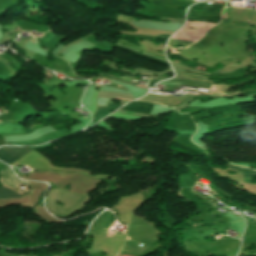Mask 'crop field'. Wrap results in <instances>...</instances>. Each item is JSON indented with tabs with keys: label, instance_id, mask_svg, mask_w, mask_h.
I'll return each mask as SVG.
<instances>
[{
	"label": "crop field",
	"instance_id": "crop-field-9",
	"mask_svg": "<svg viewBox=\"0 0 256 256\" xmlns=\"http://www.w3.org/2000/svg\"><path fill=\"white\" fill-rule=\"evenodd\" d=\"M101 78H103V77H101ZM103 79H105V78H103ZM107 80V79H106ZM109 81V80H108Z\"/></svg>",
	"mask_w": 256,
	"mask_h": 256
},
{
	"label": "crop field",
	"instance_id": "crop-field-1",
	"mask_svg": "<svg viewBox=\"0 0 256 256\" xmlns=\"http://www.w3.org/2000/svg\"><path fill=\"white\" fill-rule=\"evenodd\" d=\"M1 148L7 150L8 152L12 153L13 155L19 158L23 157L26 153L33 151L29 149L16 148V147H1ZM1 148H0V160L10 164L18 159Z\"/></svg>",
	"mask_w": 256,
	"mask_h": 256
},
{
	"label": "crop field",
	"instance_id": "crop-field-5",
	"mask_svg": "<svg viewBox=\"0 0 256 256\" xmlns=\"http://www.w3.org/2000/svg\"><path fill=\"white\" fill-rule=\"evenodd\" d=\"M3 179H5L6 182H3ZM0 182L13 188H16V186L19 184V182L12 176L10 171H6L0 175Z\"/></svg>",
	"mask_w": 256,
	"mask_h": 256
},
{
	"label": "crop field",
	"instance_id": "crop-field-2",
	"mask_svg": "<svg viewBox=\"0 0 256 256\" xmlns=\"http://www.w3.org/2000/svg\"><path fill=\"white\" fill-rule=\"evenodd\" d=\"M122 109L141 114H150L151 110L153 109V105L143 103H132Z\"/></svg>",
	"mask_w": 256,
	"mask_h": 256
},
{
	"label": "crop field",
	"instance_id": "crop-field-12",
	"mask_svg": "<svg viewBox=\"0 0 256 256\" xmlns=\"http://www.w3.org/2000/svg\"><path fill=\"white\" fill-rule=\"evenodd\" d=\"M128 228V227H127Z\"/></svg>",
	"mask_w": 256,
	"mask_h": 256
},
{
	"label": "crop field",
	"instance_id": "crop-field-3",
	"mask_svg": "<svg viewBox=\"0 0 256 256\" xmlns=\"http://www.w3.org/2000/svg\"><path fill=\"white\" fill-rule=\"evenodd\" d=\"M120 106H117L115 104L109 103L107 104V107H98L97 112L95 114V116L92 118L93 123L99 121L100 119H102L103 117H105L110 111L118 108Z\"/></svg>",
	"mask_w": 256,
	"mask_h": 256
},
{
	"label": "crop field",
	"instance_id": "crop-field-4",
	"mask_svg": "<svg viewBox=\"0 0 256 256\" xmlns=\"http://www.w3.org/2000/svg\"><path fill=\"white\" fill-rule=\"evenodd\" d=\"M227 167L231 168V169H234L236 170L237 172H239L240 174H242L244 176V180H245V183H251V176L254 175L256 176V171L255 170H252V169H248V168H244V167H237V166H230V165H227Z\"/></svg>",
	"mask_w": 256,
	"mask_h": 256
},
{
	"label": "crop field",
	"instance_id": "crop-field-8",
	"mask_svg": "<svg viewBox=\"0 0 256 256\" xmlns=\"http://www.w3.org/2000/svg\"><path fill=\"white\" fill-rule=\"evenodd\" d=\"M1 145H6L5 142H4L3 137H2V139H0V146H1Z\"/></svg>",
	"mask_w": 256,
	"mask_h": 256
},
{
	"label": "crop field",
	"instance_id": "crop-field-6",
	"mask_svg": "<svg viewBox=\"0 0 256 256\" xmlns=\"http://www.w3.org/2000/svg\"><path fill=\"white\" fill-rule=\"evenodd\" d=\"M1 198H18V197L15 191L2 187L0 188V199Z\"/></svg>",
	"mask_w": 256,
	"mask_h": 256
},
{
	"label": "crop field",
	"instance_id": "crop-field-11",
	"mask_svg": "<svg viewBox=\"0 0 256 256\" xmlns=\"http://www.w3.org/2000/svg\"><path fill=\"white\" fill-rule=\"evenodd\" d=\"M122 99V98H121ZM130 100V99H129Z\"/></svg>",
	"mask_w": 256,
	"mask_h": 256
},
{
	"label": "crop field",
	"instance_id": "crop-field-7",
	"mask_svg": "<svg viewBox=\"0 0 256 256\" xmlns=\"http://www.w3.org/2000/svg\"><path fill=\"white\" fill-rule=\"evenodd\" d=\"M99 74L118 80L117 78L112 77V76L107 75V74H104V73H99ZM119 81L124 82V83H127V84H130V85H133V86L142 87V88H147V87H145V86H141V85L129 83V82H126V81H124V80H119ZM147 89H148V88H147Z\"/></svg>",
	"mask_w": 256,
	"mask_h": 256
},
{
	"label": "crop field",
	"instance_id": "crop-field-10",
	"mask_svg": "<svg viewBox=\"0 0 256 256\" xmlns=\"http://www.w3.org/2000/svg\"><path fill=\"white\" fill-rule=\"evenodd\" d=\"M30 41H32V40H30ZM33 42V41H32ZM34 43V42H33Z\"/></svg>",
	"mask_w": 256,
	"mask_h": 256
}]
</instances>
